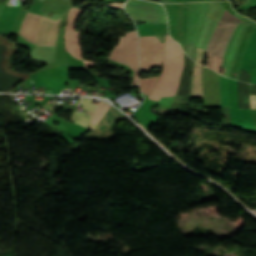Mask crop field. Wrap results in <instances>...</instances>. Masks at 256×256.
<instances>
[{
	"label": "crop field",
	"instance_id": "8a807250",
	"mask_svg": "<svg viewBox=\"0 0 256 256\" xmlns=\"http://www.w3.org/2000/svg\"><path fill=\"white\" fill-rule=\"evenodd\" d=\"M183 66V51L179 44L166 35L163 72L149 98L159 100L161 96L175 95Z\"/></svg>",
	"mask_w": 256,
	"mask_h": 256
},
{
	"label": "crop field",
	"instance_id": "ac0d7876",
	"mask_svg": "<svg viewBox=\"0 0 256 256\" xmlns=\"http://www.w3.org/2000/svg\"><path fill=\"white\" fill-rule=\"evenodd\" d=\"M241 20L233 17L225 10L220 23L216 27L214 34L208 44V67L220 72L224 50L229 42L230 36Z\"/></svg>",
	"mask_w": 256,
	"mask_h": 256
},
{
	"label": "crop field",
	"instance_id": "34b2d1b8",
	"mask_svg": "<svg viewBox=\"0 0 256 256\" xmlns=\"http://www.w3.org/2000/svg\"><path fill=\"white\" fill-rule=\"evenodd\" d=\"M110 59L124 63L134 70L133 85H137V77L139 71L137 59V33L136 31L126 34V37L120 39L117 46L111 52Z\"/></svg>",
	"mask_w": 256,
	"mask_h": 256
},
{
	"label": "crop field",
	"instance_id": "412701ff",
	"mask_svg": "<svg viewBox=\"0 0 256 256\" xmlns=\"http://www.w3.org/2000/svg\"><path fill=\"white\" fill-rule=\"evenodd\" d=\"M163 48L164 43H160L156 36L140 37L141 71L162 65Z\"/></svg>",
	"mask_w": 256,
	"mask_h": 256
},
{
	"label": "crop field",
	"instance_id": "f4fd0767",
	"mask_svg": "<svg viewBox=\"0 0 256 256\" xmlns=\"http://www.w3.org/2000/svg\"><path fill=\"white\" fill-rule=\"evenodd\" d=\"M202 82L206 108L221 107L219 92V74L203 67Z\"/></svg>",
	"mask_w": 256,
	"mask_h": 256
},
{
	"label": "crop field",
	"instance_id": "dd49c442",
	"mask_svg": "<svg viewBox=\"0 0 256 256\" xmlns=\"http://www.w3.org/2000/svg\"><path fill=\"white\" fill-rule=\"evenodd\" d=\"M84 11V10H83ZM82 10L71 8L67 20V27L65 32L66 51L73 57L81 59L80 51V32H74V25Z\"/></svg>",
	"mask_w": 256,
	"mask_h": 256
},
{
	"label": "crop field",
	"instance_id": "e52e79f7",
	"mask_svg": "<svg viewBox=\"0 0 256 256\" xmlns=\"http://www.w3.org/2000/svg\"><path fill=\"white\" fill-rule=\"evenodd\" d=\"M60 19L52 21L44 17L39 29L36 46H55Z\"/></svg>",
	"mask_w": 256,
	"mask_h": 256
},
{
	"label": "crop field",
	"instance_id": "d8731c3e",
	"mask_svg": "<svg viewBox=\"0 0 256 256\" xmlns=\"http://www.w3.org/2000/svg\"><path fill=\"white\" fill-rule=\"evenodd\" d=\"M92 99L81 98L79 105L84 106V109L87 110L86 113L74 111L72 115V122L81 124L84 127H88V122L94 112L96 104L91 103Z\"/></svg>",
	"mask_w": 256,
	"mask_h": 256
},
{
	"label": "crop field",
	"instance_id": "5a996713",
	"mask_svg": "<svg viewBox=\"0 0 256 256\" xmlns=\"http://www.w3.org/2000/svg\"><path fill=\"white\" fill-rule=\"evenodd\" d=\"M202 67L195 64L193 78H192V93L191 97H203V89L201 82Z\"/></svg>",
	"mask_w": 256,
	"mask_h": 256
},
{
	"label": "crop field",
	"instance_id": "3316defc",
	"mask_svg": "<svg viewBox=\"0 0 256 256\" xmlns=\"http://www.w3.org/2000/svg\"><path fill=\"white\" fill-rule=\"evenodd\" d=\"M110 107L111 106H109L108 104L100 101L90 120V123L97 126V124L100 122V120L103 118V116L106 114Z\"/></svg>",
	"mask_w": 256,
	"mask_h": 256
},
{
	"label": "crop field",
	"instance_id": "28ad6ade",
	"mask_svg": "<svg viewBox=\"0 0 256 256\" xmlns=\"http://www.w3.org/2000/svg\"><path fill=\"white\" fill-rule=\"evenodd\" d=\"M127 5L145 9V13H146V17L148 19V23H160L159 20H158L156 8L136 5V4H132V3H129V2L127 3Z\"/></svg>",
	"mask_w": 256,
	"mask_h": 256
},
{
	"label": "crop field",
	"instance_id": "d1516ede",
	"mask_svg": "<svg viewBox=\"0 0 256 256\" xmlns=\"http://www.w3.org/2000/svg\"><path fill=\"white\" fill-rule=\"evenodd\" d=\"M158 77H152V78H148V79H141L140 78L139 85H140V89H141L142 93L149 96V94L151 93Z\"/></svg>",
	"mask_w": 256,
	"mask_h": 256
},
{
	"label": "crop field",
	"instance_id": "22f410ed",
	"mask_svg": "<svg viewBox=\"0 0 256 256\" xmlns=\"http://www.w3.org/2000/svg\"><path fill=\"white\" fill-rule=\"evenodd\" d=\"M196 43L185 42L184 50L194 60V46Z\"/></svg>",
	"mask_w": 256,
	"mask_h": 256
},
{
	"label": "crop field",
	"instance_id": "cbeb9de0",
	"mask_svg": "<svg viewBox=\"0 0 256 256\" xmlns=\"http://www.w3.org/2000/svg\"><path fill=\"white\" fill-rule=\"evenodd\" d=\"M204 51L200 48H196V62L202 64Z\"/></svg>",
	"mask_w": 256,
	"mask_h": 256
},
{
	"label": "crop field",
	"instance_id": "5142ce71",
	"mask_svg": "<svg viewBox=\"0 0 256 256\" xmlns=\"http://www.w3.org/2000/svg\"><path fill=\"white\" fill-rule=\"evenodd\" d=\"M7 2H8V0H0V15H1L3 9L5 8Z\"/></svg>",
	"mask_w": 256,
	"mask_h": 256
},
{
	"label": "crop field",
	"instance_id": "d9b57169",
	"mask_svg": "<svg viewBox=\"0 0 256 256\" xmlns=\"http://www.w3.org/2000/svg\"><path fill=\"white\" fill-rule=\"evenodd\" d=\"M251 108H256V95H251Z\"/></svg>",
	"mask_w": 256,
	"mask_h": 256
},
{
	"label": "crop field",
	"instance_id": "733c2abd",
	"mask_svg": "<svg viewBox=\"0 0 256 256\" xmlns=\"http://www.w3.org/2000/svg\"><path fill=\"white\" fill-rule=\"evenodd\" d=\"M86 67H96L94 62L84 60Z\"/></svg>",
	"mask_w": 256,
	"mask_h": 256
},
{
	"label": "crop field",
	"instance_id": "4a817a6b",
	"mask_svg": "<svg viewBox=\"0 0 256 256\" xmlns=\"http://www.w3.org/2000/svg\"><path fill=\"white\" fill-rule=\"evenodd\" d=\"M124 4H108V6L115 7V8H122Z\"/></svg>",
	"mask_w": 256,
	"mask_h": 256
},
{
	"label": "crop field",
	"instance_id": "bc2a9ffb",
	"mask_svg": "<svg viewBox=\"0 0 256 256\" xmlns=\"http://www.w3.org/2000/svg\"><path fill=\"white\" fill-rule=\"evenodd\" d=\"M246 2L252 1V0H245Z\"/></svg>",
	"mask_w": 256,
	"mask_h": 256
}]
</instances>
